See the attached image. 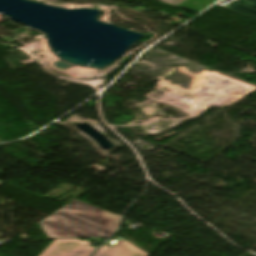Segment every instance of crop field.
Wrapping results in <instances>:
<instances>
[{"label":"crop field","instance_id":"dd49c442","mask_svg":"<svg viewBox=\"0 0 256 256\" xmlns=\"http://www.w3.org/2000/svg\"><path fill=\"white\" fill-rule=\"evenodd\" d=\"M3 182H0V184H2Z\"/></svg>","mask_w":256,"mask_h":256},{"label":"crop field","instance_id":"f4fd0767","mask_svg":"<svg viewBox=\"0 0 256 256\" xmlns=\"http://www.w3.org/2000/svg\"><path fill=\"white\" fill-rule=\"evenodd\" d=\"M159 1H162V2H165V3L171 4V5L177 6L180 3H182L184 0H159Z\"/></svg>","mask_w":256,"mask_h":256},{"label":"crop field","instance_id":"412701ff","mask_svg":"<svg viewBox=\"0 0 256 256\" xmlns=\"http://www.w3.org/2000/svg\"><path fill=\"white\" fill-rule=\"evenodd\" d=\"M223 8L256 20V0H235Z\"/></svg>","mask_w":256,"mask_h":256},{"label":"crop field","instance_id":"34b2d1b8","mask_svg":"<svg viewBox=\"0 0 256 256\" xmlns=\"http://www.w3.org/2000/svg\"><path fill=\"white\" fill-rule=\"evenodd\" d=\"M145 251L123 239L113 246H101L93 256H148Z\"/></svg>","mask_w":256,"mask_h":256},{"label":"crop field","instance_id":"8a807250","mask_svg":"<svg viewBox=\"0 0 256 256\" xmlns=\"http://www.w3.org/2000/svg\"><path fill=\"white\" fill-rule=\"evenodd\" d=\"M120 218L75 200L39 223L48 238L108 237L116 231Z\"/></svg>","mask_w":256,"mask_h":256},{"label":"crop field","instance_id":"ac0d7876","mask_svg":"<svg viewBox=\"0 0 256 256\" xmlns=\"http://www.w3.org/2000/svg\"><path fill=\"white\" fill-rule=\"evenodd\" d=\"M90 243L77 239L54 240L39 256H89L96 248L89 246Z\"/></svg>","mask_w":256,"mask_h":256}]
</instances>
